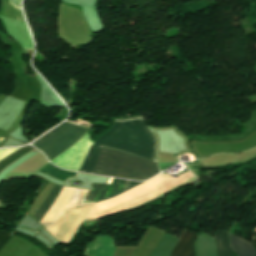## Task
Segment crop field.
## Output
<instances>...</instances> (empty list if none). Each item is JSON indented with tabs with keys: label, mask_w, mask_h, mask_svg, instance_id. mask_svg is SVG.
I'll list each match as a JSON object with an SVG mask.
<instances>
[{
	"label": "crop field",
	"mask_w": 256,
	"mask_h": 256,
	"mask_svg": "<svg viewBox=\"0 0 256 256\" xmlns=\"http://www.w3.org/2000/svg\"><path fill=\"white\" fill-rule=\"evenodd\" d=\"M198 236L186 230L174 250L171 256H194V240Z\"/></svg>",
	"instance_id": "crop-field-7"
},
{
	"label": "crop field",
	"mask_w": 256,
	"mask_h": 256,
	"mask_svg": "<svg viewBox=\"0 0 256 256\" xmlns=\"http://www.w3.org/2000/svg\"><path fill=\"white\" fill-rule=\"evenodd\" d=\"M159 172L157 163L103 148L95 169L97 174L135 180H146Z\"/></svg>",
	"instance_id": "crop-field-3"
},
{
	"label": "crop field",
	"mask_w": 256,
	"mask_h": 256,
	"mask_svg": "<svg viewBox=\"0 0 256 256\" xmlns=\"http://www.w3.org/2000/svg\"><path fill=\"white\" fill-rule=\"evenodd\" d=\"M101 147L156 162L155 138L142 117L115 119L113 127L91 146L81 172L93 174Z\"/></svg>",
	"instance_id": "crop-field-2"
},
{
	"label": "crop field",
	"mask_w": 256,
	"mask_h": 256,
	"mask_svg": "<svg viewBox=\"0 0 256 256\" xmlns=\"http://www.w3.org/2000/svg\"><path fill=\"white\" fill-rule=\"evenodd\" d=\"M113 239L99 236L93 244H90L86 250V256H113Z\"/></svg>",
	"instance_id": "crop-field-6"
},
{
	"label": "crop field",
	"mask_w": 256,
	"mask_h": 256,
	"mask_svg": "<svg viewBox=\"0 0 256 256\" xmlns=\"http://www.w3.org/2000/svg\"><path fill=\"white\" fill-rule=\"evenodd\" d=\"M39 171H41L47 175L53 176L55 178L61 179L63 181H65L66 178L76 176V173L60 170V169L54 167L53 165H51L50 163L48 165H46L44 168L40 169Z\"/></svg>",
	"instance_id": "crop-field-13"
},
{
	"label": "crop field",
	"mask_w": 256,
	"mask_h": 256,
	"mask_svg": "<svg viewBox=\"0 0 256 256\" xmlns=\"http://www.w3.org/2000/svg\"><path fill=\"white\" fill-rule=\"evenodd\" d=\"M231 247L237 256H256L254 246L230 235Z\"/></svg>",
	"instance_id": "crop-field-9"
},
{
	"label": "crop field",
	"mask_w": 256,
	"mask_h": 256,
	"mask_svg": "<svg viewBox=\"0 0 256 256\" xmlns=\"http://www.w3.org/2000/svg\"><path fill=\"white\" fill-rule=\"evenodd\" d=\"M17 149H6V150H0V160L3 159L4 157L10 155L11 153L15 152Z\"/></svg>",
	"instance_id": "crop-field-16"
},
{
	"label": "crop field",
	"mask_w": 256,
	"mask_h": 256,
	"mask_svg": "<svg viewBox=\"0 0 256 256\" xmlns=\"http://www.w3.org/2000/svg\"><path fill=\"white\" fill-rule=\"evenodd\" d=\"M93 143L94 142L89 140V136L86 133L71 148L60 154L51 162L63 169L78 171L86 152Z\"/></svg>",
	"instance_id": "crop-field-5"
},
{
	"label": "crop field",
	"mask_w": 256,
	"mask_h": 256,
	"mask_svg": "<svg viewBox=\"0 0 256 256\" xmlns=\"http://www.w3.org/2000/svg\"><path fill=\"white\" fill-rule=\"evenodd\" d=\"M140 183L142 182L115 178L112 184H92V191L89 190V192L85 189L64 187L41 224L58 240L69 243L94 203L93 201L116 196ZM87 192L88 194L86 195ZM82 200L83 202L81 203ZM80 203L89 204L79 206Z\"/></svg>",
	"instance_id": "crop-field-1"
},
{
	"label": "crop field",
	"mask_w": 256,
	"mask_h": 256,
	"mask_svg": "<svg viewBox=\"0 0 256 256\" xmlns=\"http://www.w3.org/2000/svg\"><path fill=\"white\" fill-rule=\"evenodd\" d=\"M88 125H74L64 122L43 138L32 143L46 153L49 161L71 147L88 129ZM43 153V154H44Z\"/></svg>",
	"instance_id": "crop-field-4"
},
{
	"label": "crop field",
	"mask_w": 256,
	"mask_h": 256,
	"mask_svg": "<svg viewBox=\"0 0 256 256\" xmlns=\"http://www.w3.org/2000/svg\"><path fill=\"white\" fill-rule=\"evenodd\" d=\"M10 237H11V234L0 231V250L7 243Z\"/></svg>",
	"instance_id": "crop-field-15"
},
{
	"label": "crop field",
	"mask_w": 256,
	"mask_h": 256,
	"mask_svg": "<svg viewBox=\"0 0 256 256\" xmlns=\"http://www.w3.org/2000/svg\"><path fill=\"white\" fill-rule=\"evenodd\" d=\"M213 239L202 232L195 242L196 256H216Z\"/></svg>",
	"instance_id": "crop-field-8"
},
{
	"label": "crop field",
	"mask_w": 256,
	"mask_h": 256,
	"mask_svg": "<svg viewBox=\"0 0 256 256\" xmlns=\"http://www.w3.org/2000/svg\"><path fill=\"white\" fill-rule=\"evenodd\" d=\"M31 150H33L32 147L30 146H26L24 148H21L20 150L16 151L15 153L11 154L10 156H8L7 158H5L3 161L0 162V173L9 165H11L12 163H14L15 161H17L18 159H20L22 156H24L25 154H27L28 152H30Z\"/></svg>",
	"instance_id": "crop-field-14"
},
{
	"label": "crop field",
	"mask_w": 256,
	"mask_h": 256,
	"mask_svg": "<svg viewBox=\"0 0 256 256\" xmlns=\"http://www.w3.org/2000/svg\"><path fill=\"white\" fill-rule=\"evenodd\" d=\"M177 238L165 234L161 242L150 256H168L169 250L172 248ZM171 251V250H170Z\"/></svg>",
	"instance_id": "crop-field-11"
},
{
	"label": "crop field",
	"mask_w": 256,
	"mask_h": 256,
	"mask_svg": "<svg viewBox=\"0 0 256 256\" xmlns=\"http://www.w3.org/2000/svg\"><path fill=\"white\" fill-rule=\"evenodd\" d=\"M227 236V232L219 230L217 231L215 241L217 245L218 256H235L228 245Z\"/></svg>",
	"instance_id": "crop-field-10"
},
{
	"label": "crop field",
	"mask_w": 256,
	"mask_h": 256,
	"mask_svg": "<svg viewBox=\"0 0 256 256\" xmlns=\"http://www.w3.org/2000/svg\"><path fill=\"white\" fill-rule=\"evenodd\" d=\"M62 189L61 186L56 185L53 190L51 191V193L48 195V197L46 198V200L43 202V204L41 205V207L38 209V211L36 212L35 216H34V220L37 221L38 223L41 221L43 215L45 214V212L47 211V209L49 208V206L51 205V203L54 201V199L56 198V196L58 195V193L60 192V190Z\"/></svg>",
	"instance_id": "crop-field-12"
}]
</instances>
